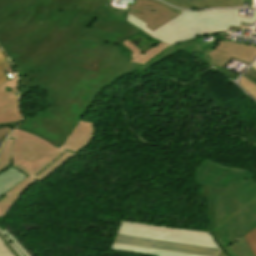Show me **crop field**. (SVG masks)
I'll return each mask as SVG.
<instances>
[{"label":"crop field","mask_w":256,"mask_h":256,"mask_svg":"<svg viewBox=\"0 0 256 256\" xmlns=\"http://www.w3.org/2000/svg\"><path fill=\"white\" fill-rule=\"evenodd\" d=\"M250 178H254L250 171L223 167L206 159L196 172L195 182L224 189Z\"/></svg>","instance_id":"obj_6"},{"label":"crop field","mask_w":256,"mask_h":256,"mask_svg":"<svg viewBox=\"0 0 256 256\" xmlns=\"http://www.w3.org/2000/svg\"><path fill=\"white\" fill-rule=\"evenodd\" d=\"M128 12L148 23L153 30L180 14L149 0H135V5H128Z\"/></svg>","instance_id":"obj_8"},{"label":"crop field","mask_w":256,"mask_h":256,"mask_svg":"<svg viewBox=\"0 0 256 256\" xmlns=\"http://www.w3.org/2000/svg\"><path fill=\"white\" fill-rule=\"evenodd\" d=\"M18 81L9 80L0 84V123L21 118L17 102Z\"/></svg>","instance_id":"obj_10"},{"label":"crop field","mask_w":256,"mask_h":256,"mask_svg":"<svg viewBox=\"0 0 256 256\" xmlns=\"http://www.w3.org/2000/svg\"><path fill=\"white\" fill-rule=\"evenodd\" d=\"M18 122H19V121H17V122H11V123H5V124H0V127H3V126H10V127H13V128H14Z\"/></svg>","instance_id":"obj_24"},{"label":"crop field","mask_w":256,"mask_h":256,"mask_svg":"<svg viewBox=\"0 0 256 256\" xmlns=\"http://www.w3.org/2000/svg\"><path fill=\"white\" fill-rule=\"evenodd\" d=\"M113 243L143 246V247L176 251V252H182V253H188V254H194V255H200V256H216L218 252V250L216 249L155 241V240L125 236L121 234H117L115 236Z\"/></svg>","instance_id":"obj_7"},{"label":"crop field","mask_w":256,"mask_h":256,"mask_svg":"<svg viewBox=\"0 0 256 256\" xmlns=\"http://www.w3.org/2000/svg\"><path fill=\"white\" fill-rule=\"evenodd\" d=\"M251 67L256 69V61L254 62V64Z\"/></svg>","instance_id":"obj_27"},{"label":"crop field","mask_w":256,"mask_h":256,"mask_svg":"<svg viewBox=\"0 0 256 256\" xmlns=\"http://www.w3.org/2000/svg\"><path fill=\"white\" fill-rule=\"evenodd\" d=\"M194 2L197 3L199 6H203L206 8L243 6L242 0H195Z\"/></svg>","instance_id":"obj_14"},{"label":"crop field","mask_w":256,"mask_h":256,"mask_svg":"<svg viewBox=\"0 0 256 256\" xmlns=\"http://www.w3.org/2000/svg\"><path fill=\"white\" fill-rule=\"evenodd\" d=\"M0 256H15L0 237Z\"/></svg>","instance_id":"obj_19"},{"label":"crop field","mask_w":256,"mask_h":256,"mask_svg":"<svg viewBox=\"0 0 256 256\" xmlns=\"http://www.w3.org/2000/svg\"><path fill=\"white\" fill-rule=\"evenodd\" d=\"M110 250L113 251H121V252H130L142 255H149V256H194L176 252H169L163 250H156V249H149L143 247H136V246H128V245H119V244H112Z\"/></svg>","instance_id":"obj_12"},{"label":"crop field","mask_w":256,"mask_h":256,"mask_svg":"<svg viewBox=\"0 0 256 256\" xmlns=\"http://www.w3.org/2000/svg\"><path fill=\"white\" fill-rule=\"evenodd\" d=\"M94 135L92 122L80 121L60 148L24 131L15 129L0 150V172L10 166L29 177L0 199V217L7 214L19 195L37 180L43 181L76 151L86 146Z\"/></svg>","instance_id":"obj_2"},{"label":"crop field","mask_w":256,"mask_h":256,"mask_svg":"<svg viewBox=\"0 0 256 256\" xmlns=\"http://www.w3.org/2000/svg\"><path fill=\"white\" fill-rule=\"evenodd\" d=\"M217 256H228L222 249Z\"/></svg>","instance_id":"obj_26"},{"label":"crop field","mask_w":256,"mask_h":256,"mask_svg":"<svg viewBox=\"0 0 256 256\" xmlns=\"http://www.w3.org/2000/svg\"><path fill=\"white\" fill-rule=\"evenodd\" d=\"M153 1H155V2H157V3H161V4H163V5H165L166 7H168L169 9H171V10H173V11H181V10H176V9H174L173 7H171V6H169V5H167V4H165V3H162V2H160V1H157V0H153Z\"/></svg>","instance_id":"obj_25"},{"label":"crop field","mask_w":256,"mask_h":256,"mask_svg":"<svg viewBox=\"0 0 256 256\" xmlns=\"http://www.w3.org/2000/svg\"><path fill=\"white\" fill-rule=\"evenodd\" d=\"M244 238L246 239L251 250L256 254V229L249 232L246 236H244Z\"/></svg>","instance_id":"obj_18"},{"label":"crop field","mask_w":256,"mask_h":256,"mask_svg":"<svg viewBox=\"0 0 256 256\" xmlns=\"http://www.w3.org/2000/svg\"><path fill=\"white\" fill-rule=\"evenodd\" d=\"M11 129L12 128H10V127L0 128V143L11 132Z\"/></svg>","instance_id":"obj_22"},{"label":"crop field","mask_w":256,"mask_h":256,"mask_svg":"<svg viewBox=\"0 0 256 256\" xmlns=\"http://www.w3.org/2000/svg\"><path fill=\"white\" fill-rule=\"evenodd\" d=\"M211 229L229 256H255L243 238L256 228V178L225 190L203 185Z\"/></svg>","instance_id":"obj_3"},{"label":"crop field","mask_w":256,"mask_h":256,"mask_svg":"<svg viewBox=\"0 0 256 256\" xmlns=\"http://www.w3.org/2000/svg\"><path fill=\"white\" fill-rule=\"evenodd\" d=\"M108 2L0 0V46L20 77V98L32 88L51 93L50 108L17 129L60 147L105 87L142 66L118 50L141 31Z\"/></svg>","instance_id":"obj_1"},{"label":"crop field","mask_w":256,"mask_h":256,"mask_svg":"<svg viewBox=\"0 0 256 256\" xmlns=\"http://www.w3.org/2000/svg\"><path fill=\"white\" fill-rule=\"evenodd\" d=\"M211 64L223 67L231 58L250 64L256 57V48L246 45L219 41L214 50L208 53Z\"/></svg>","instance_id":"obj_9"},{"label":"crop field","mask_w":256,"mask_h":256,"mask_svg":"<svg viewBox=\"0 0 256 256\" xmlns=\"http://www.w3.org/2000/svg\"><path fill=\"white\" fill-rule=\"evenodd\" d=\"M239 84L241 87L248 92L250 95L256 98V85L252 82L248 81L247 79L241 77L239 80Z\"/></svg>","instance_id":"obj_16"},{"label":"crop field","mask_w":256,"mask_h":256,"mask_svg":"<svg viewBox=\"0 0 256 256\" xmlns=\"http://www.w3.org/2000/svg\"><path fill=\"white\" fill-rule=\"evenodd\" d=\"M1 232L5 235V237L9 240V242L14 246V248L19 252L21 256H31L8 229L4 231L1 230Z\"/></svg>","instance_id":"obj_15"},{"label":"crop field","mask_w":256,"mask_h":256,"mask_svg":"<svg viewBox=\"0 0 256 256\" xmlns=\"http://www.w3.org/2000/svg\"><path fill=\"white\" fill-rule=\"evenodd\" d=\"M164 1L179 7H184L189 9H201V7H198L192 4L188 0H164Z\"/></svg>","instance_id":"obj_17"},{"label":"crop field","mask_w":256,"mask_h":256,"mask_svg":"<svg viewBox=\"0 0 256 256\" xmlns=\"http://www.w3.org/2000/svg\"><path fill=\"white\" fill-rule=\"evenodd\" d=\"M26 177L28 176L12 167L2 171L0 173V198Z\"/></svg>","instance_id":"obj_11"},{"label":"crop field","mask_w":256,"mask_h":256,"mask_svg":"<svg viewBox=\"0 0 256 256\" xmlns=\"http://www.w3.org/2000/svg\"><path fill=\"white\" fill-rule=\"evenodd\" d=\"M243 77L249 79L250 81H252L253 83L256 84V70L253 68H249L246 73L243 75Z\"/></svg>","instance_id":"obj_20"},{"label":"crop field","mask_w":256,"mask_h":256,"mask_svg":"<svg viewBox=\"0 0 256 256\" xmlns=\"http://www.w3.org/2000/svg\"><path fill=\"white\" fill-rule=\"evenodd\" d=\"M123 44H125L133 52V54L131 55V57L134 58L132 60V62H137V63H141V64H144L145 62H147L148 60H150L151 58H153L154 56H156L157 54H159L160 52H162L164 49H166L168 47V45L162 43L158 46L151 48L150 50H148L142 54L129 41H124Z\"/></svg>","instance_id":"obj_13"},{"label":"crop field","mask_w":256,"mask_h":256,"mask_svg":"<svg viewBox=\"0 0 256 256\" xmlns=\"http://www.w3.org/2000/svg\"><path fill=\"white\" fill-rule=\"evenodd\" d=\"M117 233L219 249L208 233L122 221Z\"/></svg>","instance_id":"obj_5"},{"label":"crop field","mask_w":256,"mask_h":256,"mask_svg":"<svg viewBox=\"0 0 256 256\" xmlns=\"http://www.w3.org/2000/svg\"><path fill=\"white\" fill-rule=\"evenodd\" d=\"M211 65V64H210ZM213 66V65H212ZM215 68H217L218 70H220L221 72H223L225 75H227L228 77H230L231 79L235 80L238 75L224 69V68H221V67H217V66H214Z\"/></svg>","instance_id":"obj_23"},{"label":"crop field","mask_w":256,"mask_h":256,"mask_svg":"<svg viewBox=\"0 0 256 256\" xmlns=\"http://www.w3.org/2000/svg\"><path fill=\"white\" fill-rule=\"evenodd\" d=\"M3 63H4V54L2 51H0V83L6 81L3 71H2Z\"/></svg>","instance_id":"obj_21"},{"label":"crop field","mask_w":256,"mask_h":256,"mask_svg":"<svg viewBox=\"0 0 256 256\" xmlns=\"http://www.w3.org/2000/svg\"><path fill=\"white\" fill-rule=\"evenodd\" d=\"M189 1H193V0H189Z\"/></svg>","instance_id":"obj_28"},{"label":"crop field","mask_w":256,"mask_h":256,"mask_svg":"<svg viewBox=\"0 0 256 256\" xmlns=\"http://www.w3.org/2000/svg\"><path fill=\"white\" fill-rule=\"evenodd\" d=\"M239 9L209 10L203 12L182 11L180 15L152 31L146 23L127 12L126 22L136 26L154 39L169 45L182 40L219 31L227 32L230 25L240 27L241 21L256 22V9L252 18L238 15Z\"/></svg>","instance_id":"obj_4"}]
</instances>
